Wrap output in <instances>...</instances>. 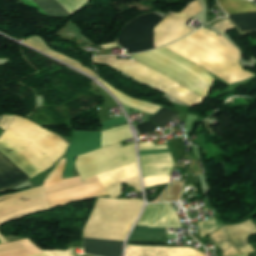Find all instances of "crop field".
Returning <instances> with one entry per match:
<instances>
[{
  "label": "crop field",
  "instance_id": "16",
  "mask_svg": "<svg viewBox=\"0 0 256 256\" xmlns=\"http://www.w3.org/2000/svg\"><path fill=\"white\" fill-rule=\"evenodd\" d=\"M37 6L45 11L50 16H68L72 14L77 8L83 5L88 0H32Z\"/></svg>",
  "mask_w": 256,
  "mask_h": 256
},
{
  "label": "crop field",
  "instance_id": "8",
  "mask_svg": "<svg viewBox=\"0 0 256 256\" xmlns=\"http://www.w3.org/2000/svg\"><path fill=\"white\" fill-rule=\"evenodd\" d=\"M201 10L197 0L191 2L185 10L180 13L172 12L154 28V46H161L184 36L192 30L186 27V20Z\"/></svg>",
  "mask_w": 256,
  "mask_h": 256
},
{
  "label": "crop field",
  "instance_id": "31",
  "mask_svg": "<svg viewBox=\"0 0 256 256\" xmlns=\"http://www.w3.org/2000/svg\"><path fill=\"white\" fill-rule=\"evenodd\" d=\"M48 256H74L70 249L63 250H42Z\"/></svg>",
  "mask_w": 256,
  "mask_h": 256
},
{
  "label": "crop field",
  "instance_id": "2",
  "mask_svg": "<svg viewBox=\"0 0 256 256\" xmlns=\"http://www.w3.org/2000/svg\"><path fill=\"white\" fill-rule=\"evenodd\" d=\"M0 139L16 148L41 171L59 160L68 145L43 128L16 117ZM2 140H0V153L10 159L19 169L30 178L41 172L22 154Z\"/></svg>",
  "mask_w": 256,
  "mask_h": 256
},
{
  "label": "crop field",
  "instance_id": "36",
  "mask_svg": "<svg viewBox=\"0 0 256 256\" xmlns=\"http://www.w3.org/2000/svg\"><path fill=\"white\" fill-rule=\"evenodd\" d=\"M114 46H116V43H114V42L101 45V47H103L105 49L111 48V47H114Z\"/></svg>",
  "mask_w": 256,
  "mask_h": 256
},
{
  "label": "crop field",
  "instance_id": "25",
  "mask_svg": "<svg viewBox=\"0 0 256 256\" xmlns=\"http://www.w3.org/2000/svg\"><path fill=\"white\" fill-rule=\"evenodd\" d=\"M183 183L173 181L163 195L159 198L158 202L161 201H171V200H180L181 189Z\"/></svg>",
  "mask_w": 256,
  "mask_h": 256
},
{
  "label": "crop field",
  "instance_id": "3",
  "mask_svg": "<svg viewBox=\"0 0 256 256\" xmlns=\"http://www.w3.org/2000/svg\"><path fill=\"white\" fill-rule=\"evenodd\" d=\"M210 31L200 29L165 47L229 84L251 77L237 63L239 51L221 35Z\"/></svg>",
  "mask_w": 256,
  "mask_h": 256
},
{
  "label": "crop field",
  "instance_id": "12",
  "mask_svg": "<svg viewBox=\"0 0 256 256\" xmlns=\"http://www.w3.org/2000/svg\"><path fill=\"white\" fill-rule=\"evenodd\" d=\"M137 225L180 228V221L170 203L147 205Z\"/></svg>",
  "mask_w": 256,
  "mask_h": 256
},
{
  "label": "crop field",
  "instance_id": "35",
  "mask_svg": "<svg viewBox=\"0 0 256 256\" xmlns=\"http://www.w3.org/2000/svg\"><path fill=\"white\" fill-rule=\"evenodd\" d=\"M166 152H169L168 149L139 151L140 154H147V153H166Z\"/></svg>",
  "mask_w": 256,
  "mask_h": 256
},
{
  "label": "crop field",
  "instance_id": "15",
  "mask_svg": "<svg viewBox=\"0 0 256 256\" xmlns=\"http://www.w3.org/2000/svg\"><path fill=\"white\" fill-rule=\"evenodd\" d=\"M223 228L227 231L240 254L253 252L251 245L247 242V235L256 233V227L250 220ZM236 256H246V254Z\"/></svg>",
  "mask_w": 256,
  "mask_h": 256
},
{
  "label": "crop field",
  "instance_id": "23",
  "mask_svg": "<svg viewBox=\"0 0 256 256\" xmlns=\"http://www.w3.org/2000/svg\"><path fill=\"white\" fill-rule=\"evenodd\" d=\"M131 134L128 129V125L113 128L102 132V142L101 146H106L118 141H122L131 138Z\"/></svg>",
  "mask_w": 256,
  "mask_h": 256
},
{
  "label": "crop field",
  "instance_id": "13",
  "mask_svg": "<svg viewBox=\"0 0 256 256\" xmlns=\"http://www.w3.org/2000/svg\"><path fill=\"white\" fill-rule=\"evenodd\" d=\"M143 177L170 175L174 166L170 153L140 155Z\"/></svg>",
  "mask_w": 256,
  "mask_h": 256
},
{
  "label": "crop field",
  "instance_id": "6",
  "mask_svg": "<svg viewBox=\"0 0 256 256\" xmlns=\"http://www.w3.org/2000/svg\"><path fill=\"white\" fill-rule=\"evenodd\" d=\"M49 208L42 186L17 194L0 196V224L20 216ZM1 243L6 242L0 233Z\"/></svg>",
  "mask_w": 256,
  "mask_h": 256
},
{
  "label": "crop field",
  "instance_id": "9",
  "mask_svg": "<svg viewBox=\"0 0 256 256\" xmlns=\"http://www.w3.org/2000/svg\"><path fill=\"white\" fill-rule=\"evenodd\" d=\"M97 178L110 197H118L121 194L122 182L134 187L135 191L141 190L136 162L98 175Z\"/></svg>",
  "mask_w": 256,
  "mask_h": 256
},
{
  "label": "crop field",
  "instance_id": "32",
  "mask_svg": "<svg viewBox=\"0 0 256 256\" xmlns=\"http://www.w3.org/2000/svg\"><path fill=\"white\" fill-rule=\"evenodd\" d=\"M122 122H126L124 116H121L115 119L106 120L102 122V129L117 125Z\"/></svg>",
  "mask_w": 256,
  "mask_h": 256
},
{
  "label": "crop field",
  "instance_id": "11",
  "mask_svg": "<svg viewBox=\"0 0 256 256\" xmlns=\"http://www.w3.org/2000/svg\"><path fill=\"white\" fill-rule=\"evenodd\" d=\"M218 2L228 14L256 11V7L245 0H218ZM229 18L237 25L240 32L256 30V12L232 14Z\"/></svg>",
  "mask_w": 256,
  "mask_h": 256
},
{
  "label": "crop field",
  "instance_id": "27",
  "mask_svg": "<svg viewBox=\"0 0 256 256\" xmlns=\"http://www.w3.org/2000/svg\"><path fill=\"white\" fill-rule=\"evenodd\" d=\"M218 227H220V225L215 218L204 221V222H200L199 228H200L201 237L203 238V236L211 233L212 231L216 230Z\"/></svg>",
  "mask_w": 256,
  "mask_h": 256
},
{
  "label": "crop field",
  "instance_id": "30",
  "mask_svg": "<svg viewBox=\"0 0 256 256\" xmlns=\"http://www.w3.org/2000/svg\"><path fill=\"white\" fill-rule=\"evenodd\" d=\"M136 127H137V129H138V131H139L140 134L150 132V131H152V130H154V129L157 128V127H156L153 123H151L150 121H147V122H145V123L139 124V125H137Z\"/></svg>",
  "mask_w": 256,
  "mask_h": 256
},
{
  "label": "crop field",
  "instance_id": "18",
  "mask_svg": "<svg viewBox=\"0 0 256 256\" xmlns=\"http://www.w3.org/2000/svg\"><path fill=\"white\" fill-rule=\"evenodd\" d=\"M27 179V175L0 154V191L10 189Z\"/></svg>",
  "mask_w": 256,
  "mask_h": 256
},
{
  "label": "crop field",
  "instance_id": "28",
  "mask_svg": "<svg viewBox=\"0 0 256 256\" xmlns=\"http://www.w3.org/2000/svg\"><path fill=\"white\" fill-rule=\"evenodd\" d=\"M170 176H162L155 178H143L145 187L166 184L169 181Z\"/></svg>",
  "mask_w": 256,
  "mask_h": 256
},
{
  "label": "crop field",
  "instance_id": "33",
  "mask_svg": "<svg viewBox=\"0 0 256 256\" xmlns=\"http://www.w3.org/2000/svg\"><path fill=\"white\" fill-rule=\"evenodd\" d=\"M139 150L167 148L166 145L154 146L152 142L138 143Z\"/></svg>",
  "mask_w": 256,
  "mask_h": 256
},
{
  "label": "crop field",
  "instance_id": "29",
  "mask_svg": "<svg viewBox=\"0 0 256 256\" xmlns=\"http://www.w3.org/2000/svg\"><path fill=\"white\" fill-rule=\"evenodd\" d=\"M212 27H214L216 30H218L222 34L229 30L234 29L233 25L227 19L221 20L220 22H218Z\"/></svg>",
  "mask_w": 256,
  "mask_h": 256
},
{
  "label": "crop field",
  "instance_id": "22",
  "mask_svg": "<svg viewBox=\"0 0 256 256\" xmlns=\"http://www.w3.org/2000/svg\"><path fill=\"white\" fill-rule=\"evenodd\" d=\"M209 236L215 243L220 246L223 256L238 254L236 248L222 227L211 233Z\"/></svg>",
  "mask_w": 256,
  "mask_h": 256
},
{
  "label": "crop field",
  "instance_id": "19",
  "mask_svg": "<svg viewBox=\"0 0 256 256\" xmlns=\"http://www.w3.org/2000/svg\"><path fill=\"white\" fill-rule=\"evenodd\" d=\"M41 251L27 239L0 245V256H25Z\"/></svg>",
  "mask_w": 256,
  "mask_h": 256
},
{
  "label": "crop field",
  "instance_id": "20",
  "mask_svg": "<svg viewBox=\"0 0 256 256\" xmlns=\"http://www.w3.org/2000/svg\"><path fill=\"white\" fill-rule=\"evenodd\" d=\"M24 43H26V44H28L30 46H33V47H35V48H37V49H39V50H41V51H43L45 53H47V54L57 58V59H59V60L65 62V63L69 64V65H72V66H74L76 68H79V69H81V70H83V71H85V72H87V73H89V74H91L92 76L95 77L94 72L89 70V69H87L82 64H80V63H78V62H76V61H74L72 59H69V58H67V57H65V56H63V55H61V54H59V53H57V52H55L53 50H51L44 43V41L41 38H39L38 36H31V37L25 39Z\"/></svg>",
  "mask_w": 256,
  "mask_h": 256
},
{
  "label": "crop field",
  "instance_id": "10",
  "mask_svg": "<svg viewBox=\"0 0 256 256\" xmlns=\"http://www.w3.org/2000/svg\"><path fill=\"white\" fill-rule=\"evenodd\" d=\"M101 132H73L67 153L64 178L72 177L74 156L100 148Z\"/></svg>",
  "mask_w": 256,
  "mask_h": 256
},
{
  "label": "crop field",
  "instance_id": "4",
  "mask_svg": "<svg viewBox=\"0 0 256 256\" xmlns=\"http://www.w3.org/2000/svg\"><path fill=\"white\" fill-rule=\"evenodd\" d=\"M64 162L65 158L59 160L43 182L50 207L107 194L96 176L84 181L79 176L62 180Z\"/></svg>",
  "mask_w": 256,
  "mask_h": 256
},
{
  "label": "crop field",
  "instance_id": "17",
  "mask_svg": "<svg viewBox=\"0 0 256 256\" xmlns=\"http://www.w3.org/2000/svg\"><path fill=\"white\" fill-rule=\"evenodd\" d=\"M84 240V253L99 256H121L122 244L119 241L88 239Z\"/></svg>",
  "mask_w": 256,
  "mask_h": 256
},
{
  "label": "crop field",
  "instance_id": "24",
  "mask_svg": "<svg viewBox=\"0 0 256 256\" xmlns=\"http://www.w3.org/2000/svg\"><path fill=\"white\" fill-rule=\"evenodd\" d=\"M166 233V228H147L137 226L134 228L130 238L159 239Z\"/></svg>",
  "mask_w": 256,
  "mask_h": 256
},
{
  "label": "crop field",
  "instance_id": "7",
  "mask_svg": "<svg viewBox=\"0 0 256 256\" xmlns=\"http://www.w3.org/2000/svg\"><path fill=\"white\" fill-rule=\"evenodd\" d=\"M162 18L155 14H146L134 18L121 30L117 41L127 48V53H136L153 48V27Z\"/></svg>",
  "mask_w": 256,
  "mask_h": 256
},
{
  "label": "crop field",
  "instance_id": "1",
  "mask_svg": "<svg viewBox=\"0 0 256 256\" xmlns=\"http://www.w3.org/2000/svg\"><path fill=\"white\" fill-rule=\"evenodd\" d=\"M152 53L162 57L163 59L173 63L174 65L190 72L197 78L211 86L213 78L204 69L192 64L181 56L165 49L164 47L151 50ZM147 51L141 54L130 55L137 61L167 75L185 88L191 90L197 95L204 97L209 87L190 73L174 66L173 64L163 60L162 58ZM136 60L115 61V56L95 57L92 62H102L113 66L114 68L127 73L133 78L150 84L165 93L194 106L201 102L203 98L197 96L191 91L185 89L167 76L146 67Z\"/></svg>",
  "mask_w": 256,
  "mask_h": 256
},
{
  "label": "crop field",
  "instance_id": "37",
  "mask_svg": "<svg viewBox=\"0 0 256 256\" xmlns=\"http://www.w3.org/2000/svg\"><path fill=\"white\" fill-rule=\"evenodd\" d=\"M30 256H46L44 253L36 254V255H30Z\"/></svg>",
  "mask_w": 256,
  "mask_h": 256
},
{
  "label": "crop field",
  "instance_id": "21",
  "mask_svg": "<svg viewBox=\"0 0 256 256\" xmlns=\"http://www.w3.org/2000/svg\"><path fill=\"white\" fill-rule=\"evenodd\" d=\"M97 80L101 81L102 84L105 85L118 98V100L125 105L137 108L139 110L148 112L150 114H154L157 110L160 109V106H156L153 104L135 100V99L129 98V97L121 94L120 92H118V91L114 90L112 87H110L107 83H105L99 77L97 78Z\"/></svg>",
  "mask_w": 256,
  "mask_h": 256
},
{
  "label": "crop field",
  "instance_id": "5",
  "mask_svg": "<svg viewBox=\"0 0 256 256\" xmlns=\"http://www.w3.org/2000/svg\"><path fill=\"white\" fill-rule=\"evenodd\" d=\"M136 161L133 143L120 142L77 156L76 168L82 180Z\"/></svg>",
  "mask_w": 256,
  "mask_h": 256
},
{
  "label": "crop field",
  "instance_id": "14",
  "mask_svg": "<svg viewBox=\"0 0 256 256\" xmlns=\"http://www.w3.org/2000/svg\"><path fill=\"white\" fill-rule=\"evenodd\" d=\"M126 256H203L201 252L180 247H138L127 245Z\"/></svg>",
  "mask_w": 256,
  "mask_h": 256
},
{
  "label": "crop field",
  "instance_id": "34",
  "mask_svg": "<svg viewBox=\"0 0 256 256\" xmlns=\"http://www.w3.org/2000/svg\"><path fill=\"white\" fill-rule=\"evenodd\" d=\"M12 116H9V115H3L0 119V127L2 129H5L6 126L8 125L9 121L11 120ZM0 129V135L2 134V132L4 130Z\"/></svg>",
  "mask_w": 256,
  "mask_h": 256
},
{
  "label": "crop field",
  "instance_id": "26",
  "mask_svg": "<svg viewBox=\"0 0 256 256\" xmlns=\"http://www.w3.org/2000/svg\"><path fill=\"white\" fill-rule=\"evenodd\" d=\"M154 122H156L160 127L165 124L179 118L178 115L171 110H167L162 107L160 111H158L155 115L150 117Z\"/></svg>",
  "mask_w": 256,
  "mask_h": 256
}]
</instances>
